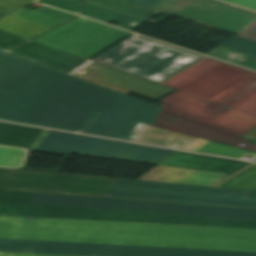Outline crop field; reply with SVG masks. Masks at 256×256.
<instances>
[{"label": "crop field", "mask_w": 256, "mask_h": 256, "mask_svg": "<svg viewBox=\"0 0 256 256\" xmlns=\"http://www.w3.org/2000/svg\"><path fill=\"white\" fill-rule=\"evenodd\" d=\"M0 256H61V255H43V254H25V253L0 252Z\"/></svg>", "instance_id": "ae1a2a85"}, {"label": "crop field", "mask_w": 256, "mask_h": 256, "mask_svg": "<svg viewBox=\"0 0 256 256\" xmlns=\"http://www.w3.org/2000/svg\"><path fill=\"white\" fill-rule=\"evenodd\" d=\"M220 45L256 56V42L251 40L235 36Z\"/></svg>", "instance_id": "92a150f3"}, {"label": "crop field", "mask_w": 256, "mask_h": 256, "mask_svg": "<svg viewBox=\"0 0 256 256\" xmlns=\"http://www.w3.org/2000/svg\"><path fill=\"white\" fill-rule=\"evenodd\" d=\"M11 12H8V11H4V10H1L0 9V19H2L4 16H6L7 14H9Z\"/></svg>", "instance_id": "750c4746"}, {"label": "crop field", "mask_w": 256, "mask_h": 256, "mask_svg": "<svg viewBox=\"0 0 256 256\" xmlns=\"http://www.w3.org/2000/svg\"><path fill=\"white\" fill-rule=\"evenodd\" d=\"M249 164V162L184 152L166 165L234 174Z\"/></svg>", "instance_id": "d1516ede"}, {"label": "crop field", "mask_w": 256, "mask_h": 256, "mask_svg": "<svg viewBox=\"0 0 256 256\" xmlns=\"http://www.w3.org/2000/svg\"><path fill=\"white\" fill-rule=\"evenodd\" d=\"M230 174L156 166L138 180L214 187Z\"/></svg>", "instance_id": "28ad6ade"}, {"label": "crop field", "mask_w": 256, "mask_h": 256, "mask_svg": "<svg viewBox=\"0 0 256 256\" xmlns=\"http://www.w3.org/2000/svg\"><path fill=\"white\" fill-rule=\"evenodd\" d=\"M82 16L95 19L101 22L107 23L110 19L117 20L122 22L118 27L127 29V30H134L136 27L141 25L144 21L137 20L125 15H121L109 10H105L93 5L84 4Z\"/></svg>", "instance_id": "5142ce71"}, {"label": "crop field", "mask_w": 256, "mask_h": 256, "mask_svg": "<svg viewBox=\"0 0 256 256\" xmlns=\"http://www.w3.org/2000/svg\"><path fill=\"white\" fill-rule=\"evenodd\" d=\"M32 129L0 122V145L17 147Z\"/></svg>", "instance_id": "bc2a9ffb"}, {"label": "crop field", "mask_w": 256, "mask_h": 256, "mask_svg": "<svg viewBox=\"0 0 256 256\" xmlns=\"http://www.w3.org/2000/svg\"><path fill=\"white\" fill-rule=\"evenodd\" d=\"M207 55L256 70V57L225 47H218Z\"/></svg>", "instance_id": "733c2abd"}, {"label": "crop field", "mask_w": 256, "mask_h": 256, "mask_svg": "<svg viewBox=\"0 0 256 256\" xmlns=\"http://www.w3.org/2000/svg\"><path fill=\"white\" fill-rule=\"evenodd\" d=\"M0 251L80 256H256V252L0 238Z\"/></svg>", "instance_id": "d8731c3e"}, {"label": "crop field", "mask_w": 256, "mask_h": 256, "mask_svg": "<svg viewBox=\"0 0 256 256\" xmlns=\"http://www.w3.org/2000/svg\"><path fill=\"white\" fill-rule=\"evenodd\" d=\"M245 137H248V138L256 140V129L253 130L252 132H250L249 134H247Z\"/></svg>", "instance_id": "d3111659"}, {"label": "crop field", "mask_w": 256, "mask_h": 256, "mask_svg": "<svg viewBox=\"0 0 256 256\" xmlns=\"http://www.w3.org/2000/svg\"><path fill=\"white\" fill-rule=\"evenodd\" d=\"M34 0H0V8L8 11H15Z\"/></svg>", "instance_id": "a9b5d70f"}, {"label": "crop field", "mask_w": 256, "mask_h": 256, "mask_svg": "<svg viewBox=\"0 0 256 256\" xmlns=\"http://www.w3.org/2000/svg\"><path fill=\"white\" fill-rule=\"evenodd\" d=\"M0 215L256 229V210L0 191Z\"/></svg>", "instance_id": "34b2d1b8"}, {"label": "crop field", "mask_w": 256, "mask_h": 256, "mask_svg": "<svg viewBox=\"0 0 256 256\" xmlns=\"http://www.w3.org/2000/svg\"><path fill=\"white\" fill-rule=\"evenodd\" d=\"M0 237L256 251V230L128 222L0 217Z\"/></svg>", "instance_id": "ac0d7876"}, {"label": "crop field", "mask_w": 256, "mask_h": 256, "mask_svg": "<svg viewBox=\"0 0 256 256\" xmlns=\"http://www.w3.org/2000/svg\"><path fill=\"white\" fill-rule=\"evenodd\" d=\"M128 1L129 0H85L86 3L93 4L144 21L148 20L150 17L158 12L147 7L130 3Z\"/></svg>", "instance_id": "cbeb9de0"}, {"label": "crop field", "mask_w": 256, "mask_h": 256, "mask_svg": "<svg viewBox=\"0 0 256 256\" xmlns=\"http://www.w3.org/2000/svg\"><path fill=\"white\" fill-rule=\"evenodd\" d=\"M8 54L0 50V60ZM160 110L14 55L0 64L1 120L240 159L256 157L253 152L152 127Z\"/></svg>", "instance_id": "8a807250"}, {"label": "crop field", "mask_w": 256, "mask_h": 256, "mask_svg": "<svg viewBox=\"0 0 256 256\" xmlns=\"http://www.w3.org/2000/svg\"><path fill=\"white\" fill-rule=\"evenodd\" d=\"M28 39L0 30V49L9 50Z\"/></svg>", "instance_id": "00972430"}, {"label": "crop field", "mask_w": 256, "mask_h": 256, "mask_svg": "<svg viewBox=\"0 0 256 256\" xmlns=\"http://www.w3.org/2000/svg\"><path fill=\"white\" fill-rule=\"evenodd\" d=\"M80 1H82V0H80Z\"/></svg>", "instance_id": "bd1437ed"}, {"label": "crop field", "mask_w": 256, "mask_h": 256, "mask_svg": "<svg viewBox=\"0 0 256 256\" xmlns=\"http://www.w3.org/2000/svg\"><path fill=\"white\" fill-rule=\"evenodd\" d=\"M25 153L26 151L23 149L0 146V166H7V167L20 166V163Z\"/></svg>", "instance_id": "214f88e0"}, {"label": "crop field", "mask_w": 256, "mask_h": 256, "mask_svg": "<svg viewBox=\"0 0 256 256\" xmlns=\"http://www.w3.org/2000/svg\"><path fill=\"white\" fill-rule=\"evenodd\" d=\"M223 1L256 10V0H223Z\"/></svg>", "instance_id": "4177f3b9"}, {"label": "crop field", "mask_w": 256, "mask_h": 256, "mask_svg": "<svg viewBox=\"0 0 256 256\" xmlns=\"http://www.w3.org/2000/svg\"><path fill=\"white\" fill-rule=\"evenodd\" d=\"M10 52L125 94L140 93L157 100L175 90L32 40Z\"/></svg>", "instance_id": "f4fd0767"}, {"label": "crop field", "mask_w": 256, "mask_h": 256, "mask_svg": "<svg viewBox=\"0 0 256 256\" xmlns=\"http://www.w3.org/2000/svg\"><path fill=\"white\" fill-rule=\"evenodd\" d=\"M0 29L30 39L49 28L9 14L0 20Z\"/></svg>", "instance_id": "d9b57169"}, {"label": "crop field", "mask_w": 256, "mask_h": 256, "mask_svg": "<svg viewBox=\"0 0 256 256\" xmlns=\"http://www.w3.org/2000/svg\"><path fill=\"white\" fill-rule=\"evenodd\" d=\"M0 188L253 208L256 192L0 168Z\"/></svg>", "instance_id": "412701ff"}, {"label": "crop field", "mask_w": 256, "mask_h": 256, "mask_svg": "<svg viewBox=\"0 0 256 256\" xmlns=\"http://www.w3.org/2000/svg\"><path fill=\"white\" fill-rule=\"evenodd\" d=\"M219 187L256 191V163L252 164Z\"/></svg>", "instance_id": "4a817a6b"}, {"label": "crop field", "mask_w": 256, "mask_h": 256, "mask_svg": "<svg viewBox=\"0 0 256 256\" xmlns=\"http://www.w3.org/2000/svg\"><path fill=\"white\" fill-rule=\"evenodd\" d=\"M162 0H130V2H134L140 5H144L147 7H154L155 5H157L159 2H161Z\"/></svg>", "instance_id": "eef30255"}, {"label": "crop field", "mask_w": 256, "mask_h": 256, "mask_svg": "<svg viewBox=\"0 0 256 256\" xmlns=\"http://www.w3.org/2000/svg\"><path fill=\"white\" fill-rule=\"evenodd\" d=\"M13 15L44 25L49 28L59 25L77 16L46 6H43L35 11L24 8L14 13Z\"/></svg>", "instance_id": "22f410ed"}, {"label": "crop field", "mask_w": 256, "mask_h": 256, "mask_svg": "<svg viewBox=\"0 0 256 256\" xmlns=\"http://www.w3.org/2000/svg\"><path fill=\"white\" fill-rule=\"evenodd\" d=\"M18 147L164 165L181 151L34 128Z\"/></svg>", "instance_id": "e52e79f7"}, {"label": "crop field", "mask_w": 256, "mask_h": 256, "mask_svg": "<svg viewBox=\"0 0 256 256\" xmlns=\"http://www.w3.org/2000/svg\"><path fill=\"white\" fill-rule=\"evenodd\" d=\"M130 33L79 17L32 40L89 59Z\"/></svg>", "instance_id": "5a996713"}, {"label": "crop field", "mask_w": 256, "mask_h": 256, "mask_svg": "<svg viewBox=\"0 0 256 256\" xmlns=\"http://www.w3.org/2000/svg\"><path fill=\"white\" fill-rule=\"evenodd\" d=\"M237 36H241V37L256 41V24H254L251 27H249L248 29L244 30Z\"/></svg>", "instance_id": "730fd06b"}, {"label": "crop field", "mask_w": 256, "mask_h": 256, "mask_svg": "<svg viewBox=\"0 0 256 256\" xmlns=\"http://www.w3.org/2000/svg\"><path fill=\"white\" fill-rule=\"evenodd\" d=\"M204 58L134 35L92 61L162 84Z\"/></svg>", "instance_id": "dd49c442"}, {"label": "crop field", "mask_w": 256, "mask_h": 256, "mask_svg": "<svg viewBox=\"0 0 256 256\" xmlns=\"http://www.w3.org/2000/svg\"><path fill=\"white\" fill-rule=\"evenodd\" d=\"M231 34L256 23V15L208 0H164L152 8Z\"/></svg>", "instance_id": "3316defc"}, {"label": "crop field", "mask_w": 256, "mask_h": 256, "mask_svg": "<svg viewBox=\"0 0 256 256\" xmlns=\"http://www.w3.org/2000/svg\"><path fill=\"white\" fill-rule=\"evenodd\" d=\"M39 2L46 3L64 10L74 13H80L82 2L76 0H38Z\"/></svg>", "instance_id": "dafd665d"}]
</instances>
